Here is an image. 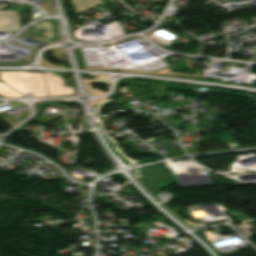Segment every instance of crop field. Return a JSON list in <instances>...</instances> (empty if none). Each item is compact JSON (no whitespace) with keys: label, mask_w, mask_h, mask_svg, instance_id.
Listing matches in <instances>:
<instances>
[{"label":"crop field","mask_w":256,"mask_h":256,"mask_svg":"<svg viewBox=\"0 0 256 256\" xmlns=\"http://www.w3.org/2000/svg\"><path fill=\"white\" fill-rule=\"evenodd\" d=\"M19 28V12L0 11V31H14Z\"/></svg>","instance_id":"obj_1"}]
</instances>
